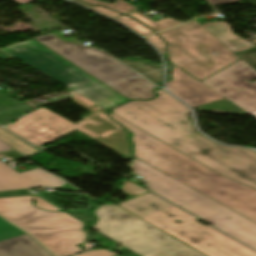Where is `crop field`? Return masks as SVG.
<instances>
[{"mask_svg": "<svg viewBox=\"0 0 256 256\" xmlns=\"http://www.w3.org/2000/svg\"><path fill=\"white\" fill-rule=\"evenodd\" d=\"M119 205L207 256H256L255 252L198 223L197 218L151 193ZM174 220H180L181 224L173 223Z\"/></svg>", "mask_w": 256, "mask_h": 256, "instance_id": "f4fd0767", "label": "crop field"}, {"mask_svg": "<svg viewBox=\"0 0 256 256\" xmlns=\"http://www.w3.org/2000/svg\"><path fill=\"white\" fill-rule=\"evenodd\" d=\"M11 149L10 147H8L7 145H5L4 143L0 142V151H6Z\"/></svg>", "mask_w": 256, "mask_h": 256, "instance_id": "d3111659", "label": "crop field"}, {"mask_svg": "<svg viewBox=\"0 0 256 256\" xmlns=\"http://www.w3.org/2000/svg\"><path fill=\"white\" fill-rule=\"evenodd\" d=\"M211 5L215 4H221V3H228V2H234L238 0H207Z\"/></svg>", "mask_w": 256, "mask_h": 256, "instance_id": "ae1a2a85", "label": "crop field"}, {"mask_svg": "<svg viewBox=\"0 0 256 256\" xmlns=\"http://www.w3.org/2000/svg\"><path fill=\"white\" fill-rule=\"evenodd\" d=\"M34 200L36 201L35 205L41 209L45 210H53V211H59L60 209L52 206L51 204L45 202L44 200L34 196Z\"/></svg>", "mask_w": 256, "mask_h": 256, "instance_id": "eef30255", "label": "crop field"}, {"mask_svg": "<svg viewBox=\"0 0 256 256\" xmlns=\"http://www.w3.org/2000/svg\"><path fill=\"white\" fill-rule=\"evenodd\" d=\"M127 15L132 16L133 18H135L136 20H138L139 22H141L142 24H144L145 26H147L148 28H150L155 32L189 21L187 20L184 22H180V21L173 20L171 18H165L161 21L154 22L149 18L141 15L139 12H135Z\"/></svg>", "mask_w": 256, "mask_h": 256, "instance_id": "733c2abd", "label": "crop field"}, {"mask_svg": "<svg viewBox=\"0 0 256 256\" xmlns=\"http://www.w3.org/2000/svg\"><path fill=\"white\" fill-rule=\"evenodd\" d=\"M24 234L21 230L0 218V240Z\"/></svg>", "mask_w": 256, "mask_h": 256, "instance_id": "214f88e0", "label": "crop field"}, {"mask_svg": "<svg viewBox=\"0 0 256 256\" xmlns=\"http://www.w3.org/2000/svg\"><path fill=\"white\" fill-rule=\"evenodd\" d=\"M202 26L234 53L256 47L234 34L224 21L211 22Z\"/></svg>", "mask_w": 256, "mask_h": 256, "instance_id": "5142ce71", "label": "crop field"}, {"mask_svg": "<svg viewBox=\"0 0 256 256\" xmlns=\"http://www.w3.org/2000/svg\"><path fill=\"white\" fill-rule=\"evenodd\" d=\"M152 101L136 100L113 113L187 154L214 171L256 189V152L225 147L199 135L186 117L189 111L163 90Z\"/></svg>", "mask_w": 256, "mask_h": 256, "instance_id": "8a807250", "label": "crop field"}, {"mask_svg": "<svg viewBox=\"0 0 256 256\" xmlns=\"http://www.w3.org/2000/svg\"><path fill=\"white\" fill-rule=\"evenodd\" d=\"M238 55L256 71V49L239 53Z\"/></svg>", "mask_w": 256, "mask_h": 256, "instance_id": "00972430", "label": "crop field"}, {"mask_svg": "<svg viewBox=\"0 0 256 256\" xmlns=\"http://www.w3.org/2000/svg\"><path fill=\"white\" fill-rule=\"evenodd\" d=\"M122 191L126 192L127 194L131 196H136L141 193L147 192L145 189L139 187L138 185L126 180L124 182V187L122 188Z\"/></svg>", "mask_w": 256, "mask_h": 256, "instance_id": "dafd665d", "label": "crop field"}, {"mask_svg": "<svg viewBox=\"0 0 256 256\" xmlns=\"http://www.w3.org/2000/svg\"><path fill=\"white\" fill-rule=\"evenodd\" d=\"M116 256H119V255H116Z\"/></svg>", "mask_w": 256, "mask_h": 256, "instance_id": "120bbe31", "label": "crop field"}, {"mask_svg": "<svg viewBox=\"0 0 256 256\" xmlns=\"http://www.w3.org/2000/svg\"><path fill=\"white\" fill-rule=\"evenodd\" d=\"M72 1H74V2H76V3H78V4H81V5H83V6H86V7H88V8H91V9H93V10H95V11L101 13V14H104V15L110 17V18H115V17H117V16L120 15V14L115 13V12H113V11H110V10L104 8V7L89 6V5H86V4H83V3L79 2V1H77V0H72Z\"/></svg>", "mask_w": 256, "mask_h": 256, "instance_id": "4177f3b9", "label": "crop field"}, {"mask_svg": "<svg viewBox=\"0 0 256 256\" xmlns=\"http://www.w3.org/2000/svg\"><path fill=\"white\" fill-rule=\"evenodd\" d=\"M14 57L105 109L128 101L127 98L33 39L0 48V59Z\"/></svg>", "mask_w": 256, "mask_h": 256, "instance_id": "e52e79f7", "label": "crop field"}, {"mask_svg": "<svg viewBox=\"0 0 256 256\" xmlns=\"http://www.w3.org/2000/svg\"><path fill=\"white\" fill-rule=\"evenodd\" d=\"M202 27L194 20L159 33L169 43V60L199 80L239 60Z\"/></svg>", "mask_w": 256, "mask_h": 256, "instance_id": "5a996713", "label": "crop field"}, {"mask_svg": "<svg viewBox=\"0 0 256 256\" xmlns=\"http://www.w3.org/2000/svg\"><path fill=\"white\" fill-rule=\"evenodd\" d=\"M148 187L156 194L256 250V223L207 196L134 159L130 163Z\"/></svg>", "mask_w": 256, "mask_h": 256, "instance_id": "412701ff", "label": "crop field"}, {"mask_svg": "<svg viewBox=\"0 0 256 256\" xmlns=\"http://www.w3.org/2000/svg\"><path fill=\"white\" fill-rule=\"evenodd\" d=\"M0 256H51L28 235L0 241Z\"/></svg>", "mask_w": 256, "mask_h": 256, "instance_id": "cbeb9de0", "label": "crop field"}, {"mask_svg": "<svg viewBox=\"0 0 256 256\" xmlns=\"http://www.w3.org/2000/svg\"><path fill=\"white\" fill-rule=\"evenodd\" d=\"M0 139L25 155L38 151L37 149L23 143L22 141H20L19 139H17L13 135H11L10 133L2 129L1 127H0Z\"/></svg>", "mask_w": 256, "mask_h": 256, "instance_id": "4a817a6b", "label": "crop field"}, {"mask_svg": "<svg viewBox=\"0 0 256 256\" xmlns=\"http://www.w3.org/2000/svg\"><path fill=\"white\" fill-rule=\"evenodd\" d=\"M34 39L130 100L154 95V85L135 77L132 70L103 51L63 42L52 33Z\"/></svg>", "mask_w": 256, "mask_h": 256, "instance_id": "3316defc", "label": "crop field"}, {"mask_svg": "<svg viewBox=\"0 0 256 256\" xmlns=\"http://www.w3.org/2000/svg\"><path fill=\"white\" fill-rule=\"evenodd\" d=\"M67 91L71 100L91 112L82 116V121L74 124L42 107L6 128L38 147L76 129L120 155L131 158V144L128 142L126 130L111 121L105 115V109L69 89Z\"/></svg>", "mask_w": 256, "mask_h": 256, "instance_id": "34b2d1b8", "label": "crop field"}, {"mask_svg": "<svg viewBox=\"0 0 256 256\" xmlns=\"http://www.w3.org/2000/svg\"><path fill=\"white\" fill-rule=\"evenodd\" d=\"M246 63V62H245ZM242 60L201 82L256 118V72Z\"/></svg>", "mask_w": 256, "mask_h": 256, "instance_id": "28ad6ade", "label": "crop field"}, {"mask_svg": "<svg viewBox=\"0 0 256 256\" xmlns=\"http://www.w3.org/2000/svg\"><path fill=\"white\" fill-rule=\"evenodd\" d=\"M117 21L121 22L122 24L129 27L136 33L140 34L141 36H145L147 34L152 33L150 30H148L147 28H145L144 26H142L141 24H139L138 22H136L135 20H133L129 17L123 16V17L117 19Z\"/></svg>", "mask_w": 256, "mask_h": 256, "instance_id": "92a150f3", "label": "crop field"}, {"mask_svg": "<svg viewBox=\"0 0 256 256\" xmlns=\"http://www.w3.org/2000/svg\"><path fill=\"white\" fill-rule=\"evenodd\" d=\"M116 253H111L107 250H96V251H87L85 253L75 255V256H113Z\"/></svg>", "mask_w": 256, "mask_h": 256, "instance_id": "730fd06b", "label": "crop field"}, {"mask_svg": "<svg viewBox=\"0 0 256 256\" xmlns=\"http://www.w3.org/2000/svg\"><path fill=\"white\" fill-rule=\"evenodd\" d=\"M82 1H85L89 4H99V5H103V6H106V7H109L111 9H114V10H117L119 12H122V13H125V12H129V11H133L135 9H138L137 7L123 1V0H117L116 2L108 5V4H105V3H102V2H99V1H96V0H82Z\"/></svg>", "mask_w": 256, "mask_h": 256, "instance_id": "bc2a9ffb", "label": "crop field"}, {"mask_svg": "<svg viewBox=\"0 0 256 256\" xmlns=\"http://www.w3.org/2000/svg\"><path fill=\"white\" fill-rule=\"evenodd\" d=\"M32 196L0 198V215L20 226L56 256L82 251L84 223L64 212H48L31 206Z\"/></svg>", "mask_w": 256, "mask_h": 256, "instance_id": "dd49c442", "label": "crop field"}, {"mask_svg": "<svg viewBox=\"0 0 256 256\" xmlns=\"http://www.w3.org/2000/svg\"><path fill=\"white\" fill-rule=\"evenodd\" d=\"M119 60L124 62L128 66L132 67L139 73L143 74L144 76H146L151 81H153L155 84L158 85V84L162 83V70L156 68L155 66H153L149 63H145V62L129 60L127 58H120Z\"/></svg>", "mask_w": 256, "mask_h": 256, "instance_id": "d9b57169", "label": "crop field"}, {"mask_svg": "<svg viewBox=\"0 0 256 256\" xmlns=\"http://www.w3.org/2000/svg\"><path fill=\"white\" fill-rule=\"evenodd\" d=\"M14 1H16L22 5H25V4L35 1V0H14Z\"/></svg>", "mask_w": 256, "mask_h": 256, "instance_id": "750c4746", "label": "crop field"}, {"mask_svg": "<svg viewBox=\"0 0 256 256\" xmlns=\"http://www.w3.org/2000/svg\"><path fill=\"white\" fill-rule=\"evenodd\" d=\"M132 256H138V255L134 254V255H132Z\"/></svg>", "mask_w": 256, "mask_h": 256, "instance_id": "bd1437ed", "label": "crop field"}, {"mask_svg": "<svg viewBox=\"0 0 256 256\" xmlns=\"http://www.w3.org/2000/svg\"><path fill=\"white\" fill-rule=\"evenodd\" d=\"M1 141V140H0ZM3 142V141H2ZM6 144V143H5ZM9 146V145H8ZM11 147V146H10Z\"/></svg>", "mask_w": 256, "mask_h": 256, "instance_id": "1d83c4d3", "label": "crop field"}, {"mask_svg": "<svg viewBox=\"0 0 256 256\" xmlns=\"http://www.w3.org/2000/svg\"><path fill=\"white\" fill-rule=\"evenodd\" d=\"M44 186L80 192L39 168L18 173L12 167L0 161V191Z\"/></svg>", "mask_w": 256, "mask_h": 256, "instance_id": "22f410ed", "label": "crop field"}, {"mask_svg": "<svg viewBox=\"0 0 256 256\" xmlns=\"http://www.w3.org/2000/svg\"><path fill=\"white\" fill-rule=\"evenodd\" d=\"M109 115L133 133L137 158L256 222L255 189L219 175L115 114Z\"/></svg>", "mask_w": 256, "mask_h": 256, "instance_id": "ac0d7876", "label": "crop field"}, {"mask_svg": "<svg viewBox=\"0 0 256 256\" xmlns=\"http://www.w3.org/2000/svg\"><path fill=\"white\" fill-rule=\"evenodd\" d=\"M117 207L95 209L91 226L140 256H204Z\"/></svg>", "mask_w": 256, "mask_h": 256, "instance_id": "d8731c3e", "label": "crop field"}, {"mask_svg": "<svg viewBox=\"0 0 256 256\" xmlns=\"http://www.w3.org/2000/svg\"><path fill=\"white\" fill-rule=\"evenodd\" d=\"M146 39L158 49V51L163 55V57H166L165 56L166 44L156 34L150 35L146 37Z\"/></svg>", "mask_w": 256, "mask_h": 256, "instance_id": "a9b5d70f", "label": "crop field"}, {"mask_svg": "<svg viewBox=\"0 0 256 256\" xmlns=\"http://www.w3.org/2000/svg\"><path fill=\"white\" fill-rule=\"evenodd\" d=\"M169 91L199 111L216 113L245 114L213 90L194 80L181 69L175 67L173 80L167 85Z\"/></svg>", "mask_w": 256, "mask_h": 256, "instance_id": "d1516ede", "label": "crop field"}]
</instances>
